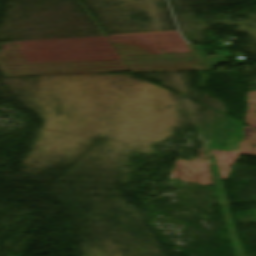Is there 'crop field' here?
<instances>
[{
  "label": "crop field",
  "instance_id": "obj_1",
  "mask_svg": "<svg viewBox=\"0 0 256 256\" xmlns=\"http://www.w3.org/2000/svg\"><path fill=\"white\" fill-rule=\"evenodd\" d=\"M208 69L178 32L7 43L5 77L122 71Z\"/></svg>",
  "mask_w": 256,
  "mask_h": 256
}]
</instances>
